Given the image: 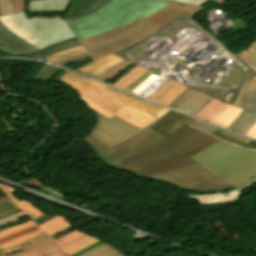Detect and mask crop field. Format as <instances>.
<instances>
[{
  "instance_id": "22f410ed",
  "label": "crop field",
  "mask_w": 256,
  "mask_h": 256,
  "mask_svg": "<svg viewBox=\"0 0 256 256\" xmlns=\"http://www.w3.org/2000/svg\"><path fill=\"white\" fill-rule=\"evenodd\" d=\"M256 122V77L245 110L230 123L227 129L245 135Z\"/></svg>"
},
{
  "instance_id": "cbeb9de0",
  "label": "crop field",
  "mask_w": 256,
  "mask_h": 256,
  "mask_svg": "<svg viewBox=\"0 0 256 256\" xmlns=\"http://www.w3.org/2000/svg\"><path fill=\"white\" fill-rule=\"evenodd\" d=\"M101 93H103L111 98H114L124 104H127L131 107H134L140 111L150 114L156 118H158L161 114H163L165 111H167V108H163L156 104H152V103L140 100L138 98H135L133 96H130L128 94H125L123 92L115 90L113 88H110L108 86H106L101 91Z\"/></svg>"
},
{
  "instance_id": "1f2cbd36",
  "label": "crop field",
  "mask_w": 256,
  "mask_h": 256,
  "mask_svg": "<svg viewBox=\"0 0 256 256\" xmlns=\"http://www.w3.org/2000/svg\"><path fill=\"white\" fill-rule=\"evenodd\" d=\"M87 55H88L87 52H85V53H82V54H79V55H76V56H73V57H69V58H66V59H63V60L54 62V63H57V64H59V65H62V64H64V63H66V62L72 61V60H74V59L82 58V57H85V56H87Z\"/></svg>"
},
{
  "instance_id": "d1516ede",
  "label": "crop field",
  "mask_w": 256,
  "mask_h": 256,
  "mask_svg": "<svg viewBox=\"0 0 256 256\" xmlns=\"http://www.w3.org/2000/svg\"><path fill=\"white\" fill-rule=\"evenodd\" d=\"M202 9L173 2L143 21L159 30L186 13L191 16Z\"/></svg>"
},
{
  "instance_id": "4a817a6b",
  "label": "crop field",
  "mask_w": 256,
  "mask_h": 256,
  "mask_svg": "<svg viewBox=\"0 0 256 256\" xmlns=\"http://www.w3.org/2000/svg\"><path fill=\"white\" fill-rule=\"evenodd\" d=\"M0 42L30 54H34L37 51H39L38 49L33 47L31 44H29L19 36L9 31L1 23H0Z\"/></svg>"
},
{
  "instance_id": "120bbe31",
  "label": "crop field",
  "mask_w": 256,
  "mask_h": 256,
  "mask_svg": "<svg viewBox=\"0 0 256 256\" xmlns=\"http://www.w3.org/2000/svg\"><path fill=\"white\" fill-rule=\"evenodd\" d=\"M146 69L136 66L118 81H116L113 86L124 89L127 85H129L135 78H137L141 73H143Z\"/></svg>"
},
{
  "instance_id": "447ae74e",
  "label": "crop field",
  "mask_w": 256,
  "mask_h": 256,
  "mask_svg": "<svg viewBox=\"0 0 256 256\" xmlns=\"http://www.w3.org/2000/svg\"><path fill=\"white\" fill-rule=\"evenodd\" d=\"M23 203H25L29 208H31L35 213H37L39 216L44 214L39 209H37L35 206H33L31 203H29L27 200L23 199L21 200Z\"/></svg>"
},
{
  "instance_id": "03da06ac",
  "label": "crop field",
  "mask_w": 256,
  "mask_h": 256,
  "mask_svg": "<svg viewBox=\"0 0 256 256\" xmlns=\"http://www.w3.org/2000/svg\"><path fill=\"white\" fill-rule=\"evenodd\" d=\"M190 125H192V126L198 128V129H200V130H202V131H205V132H207V133H209V134H211L212 132H214V131L217 129V127H214V126H212V125L206 124V123L201 122V121H198V120H196V119H194V120L190 123Z\"/></svg>"
},
{
  "instance_id": "73cf0c24",
  "label": "crop field",
  "mask_w": 256,
  "mask_h": 256,
  "mask_svg": "<svg viewBox=\"0 0 256 256\" xmlns=\"http://www.w3.org/2000/svg\"><path fill=\"white\" fill-rule=\"evenodd\" d=\"M24 216H26V214L21 212L19 214H16V215H13L11 217H8V218H5L3 220H0V227L5 225V224H7V223H9V222H12V221H15L17 219H20V218H22Z\"/></svg>"
},
{
  "instance_id": "e1f06a70",
  "label": "crop field",
  "mask_w": 256,
  "mask_h": 256,
  "mask_svg": "<svg viewBox=\"0 0 256 256\" xmlns=\"http://www.w3.org/2000/svg\"><path fill=\"white\" fill-rule=\"evenodd\" d=\"M82 52H85V50L82 48V46H77V47L71 48L69 50H66L64 52L51 55V56L45 58L44 60L54 62V61H57V60H60V59H63V58H66V57H69L72 55H76V54H79Z\"/></svg>"
},
{
  "instance_id": "214f88e0",
  "label": "crop field",
  "mask_w": 256,
  "mask_h": 256,
  "mask_svg": "<svg viewBox=\"0 0 256 256\" xmlns=\"http://www.w3.org/2000/svg\"><path fill=\"white\" fill-rule=\"evenodd\" d=\"M115 115L123 118L124 120L132 123L133 125L141 129L156 119L127 105H125Z\"/></svg>"
},
{
  "instance_id": "ae633e8c",
  "label": "crop field",
  "mask_w": 256,
  "mask_h": 256,
  "mask_svg": "<svg viewBox=\"0 0 256 256\" xmlns=\"http://www.w3.org/2000/svg\"><path fill=\"white\" fill-rule=\"evenodd\" d=\"M0 256H4V253L1 251V249H0Z\"/></svg>"
},
{
  "instance_id": "5d738f31",
  "label": "crop field",
  "mask_w": 256,
  "mask_h": 256,
  "mask_svg": "<svg viewBox=\"0 0 256 256\" xmlns=\"http://www.w3.org/2000/svg\"><path fill=\"white\" fill-rule=\"evenodd\" d=\"M78 99L81 100L87 107H90L91 109H93V110H95V111H97V112H99V113L109 117L110 119L112 118L113 114H111V113H109V112H107V111L97 107L96 105L88 102L87 100L81 98L80 96H79Z\"/></svg>"
},
{
  "instance_id": "c21b1889",
  "label": "crop field",
  "mask_w": 256,
  "mask_h": 256,
  "mask_svg": "<svg viewBox=\"0 0 256 256\" xmlns=\"http://www.w3.org/2000/svg\"><path fill=\"white\" fill-rule=\"evenodd\" d=\"M14 13L12 0H0V15Z\"/></svg>"
},
{
  "instance_id": "b80d0937",
  "label": "crop field",
  "mask_w": 256,
  "mask_h": 256,
  "mask_svg": "<svg viewBox=\"0 0 256 256\" xmlns=\"http://www.w3.org/2000/svg\"><path fill=\"white\" fill-rule=\"evenodd\" d=\"M195 91L185 88L175 99H173L168 107L177 109L188 97H190Z\"/></svg>"
},
{
  "instance_id": "bd1437ed",
  "label": "crop field",
  "mask_w": 256,
  "mask_h": 256,
  "mask_svg": "<svg viewBox=\"0 0 256 256\" xmlns=\"http://www.w3.org/2000/svg\"><path fill=\"white\" fill-rule=\"evenodd\" d=\"M70 224V223H69ZM65 219L60 215L42 225L40 227L45 230L49 235L58 232L62 229H65L71 225H69Z\"/></svg>"
},
{
  "instance_id": "5a996713",
  "label": "crop field",
  "mask_w": 256,
  "mask_h": 256,
  "mask_svg": "<svg viewBox=\"0 0 256 256\" xmlns=\"http://www.w3.org/2000/svg\"><path fill=\"white\" fill-rule=\"evenodd\" d=\"M94 113L97 116V123L89 134L107 146L113 145L141 130L115 115L110 120L95 111Z\"/></svg>"
},
{
  "instance_id": "d3111659",
  "label": "crop field",
  "mask_w": 256,
  "mask_h": 256,
  "mask_svg": "<svg viewBox=\"0 0 256 256\" xmlns=\"http://www.w3.org/2000/svg\"><path fill=\"white\" fill-rule=\"evenodd\" d=\"M1 23L6 26L8 29H10L12 32L16 33L17 35L21 36L25 40H27L29 43H34L38 39L33 37L31 34H29L26 30H24L18 23H16L10 16L6 17H0ZM15 34V35H16ZM20 37V38H21ZM23 39V40H24Z\"/></svg>"
},
{
  "instance_id": "3316defc",
  "label": "crop field",
  "mask_w": 256,
  "mask_h": 256,
  "mask_svg": "<svg viewBox=\"0 0 256 256\" xmlns=\"http://www.w3.org/2000/svg\"><path fill=\"white\" fill-rule=\"evenodd\" d=\"M6 256H67L46 234L3 248Z\"/></svg>"
},
{
  "instance_id": "ae1a2a85",
  "label": "crop field",
  "mask_w": 256,
  "mask_h": 256,
  "mask_svg": "<svg viewBox=\"0 0 256 256\" xmlns=\"http://www.w3.org/2000/svg\"><path fill=\"white\" fill-rule=\"evenodd\" d=\"M255 75L250 70L232 105L244 109Z\"/></svg>"
},
{
  "instance_id": "d9b57169",
  "label": "crop field",
  "mask_w": 256,
  "mask_h": 256,
  "mask_svg": "<svg viewBox=\"0 0 256 256\" xmlns=\"http://www.w3.org/2000/svg\"><path fill=\"white\" fill-rule=\"evenodd\" d=\"M192 120V118L183 116L169 110L161 118H159L148 127L152 128L153 130L166 137L183 123L186 122L189 124Z\"/></svg>"
},
{
  "instance_id": "0bd39190",
  "label": "crop field",
  "mask_w": 256,
  "mask_h": 256,
  "mask_svg": "<svg viewBox=\"0 0 256 256\" xmlns=\"http://www.w3.org/2000/svg\"><path fill=\"white\" fill-rule=\"evenodd\" d=\"M129 64H131V62L125 60L121 63H119L118 65L110 68L109 70H107L106 72L102 73L101 75H99L98 77H96L95 79L100 80L102 82L106 81L107 79H109L110 77H112L114 74L118 73L120 70H122L123 68L127 67ZM126 65V66H124Z\"/></svg>"
},
{
  "instance_id": "1d83c4d3",
  "label": "crop field",
  "mask_w": 256,
  "mask_h": 256,
  "mask_svg": "<svg viewBox=\"0 0 256 256\" xmlns=\"http://www.w3.org/2000/svg\"><path fill=\"white\" fill-rule=\"evenodd\" d=\"M256 72V40L245 50L237 53Z\"/></svg>"
},
{
  "instance_id": "d8731c3e",
  "label": "crop field",
  "mask_w": 256,
  "mask_h": 256,
  "mask_svg": "<svg viewBox=\"0 0 256 256\" xmlns=\"http://www.w3.org/2000/svg\"><path fill=\"white\" fill-rule=\"evenodd\" d=\"M59 81H63L71 85L72 88L78 90V92L81 94V97L114 114L124 106V104L99 93L105 87V85L100 83L94 82L68 71H66L63 77L57 82Z\"/></svg>"
},
{
  "instance_id": "34b2d1b8",
  "label": "crop field",
  "mask_w": 256,
  "mask_h": 256,
  "mask_svg": "<svg viewBox=\"0 0 256 256\" xmlns=\"http://www.w3.org/2000/svg\"><path fill=\"white\" fill-rule=\"evenodd\" d=\"M156 31L158 30L138 19L124 27L120 25L98 35L79 40V43L88 52L90 57L97 61L119 49L146 38ZM94 61H90L80 67Z\"/></svg>"
},
{
  "instance_id": "4177f3b9",
  "label": "crop field",
  "mask_w": 256,
  "mask_h": 256,
  "mask_svg": "<svg viewBox=\"0 0 256 256\" xmlns=\"http://www.w3.org/2000/svg\"><path fill=\"white\" fill-rule=\"evenodd\" d=\"M85 142L89 147L96 153L97 157L105 164L107 167L120 164V162L112 155V153L102 144L97 142L90 136H87Z\"/></svg>"
},
{
  "instance_id": "e1d0b9f6",
  "label": "crop field",
  "mask_w": 256,
  "mask_h": 256,
  "mask_svg": "<svg viewBox=\"0 0 256 256\" xmlns=\"http://www.w3.org/2000/svg\"><path fill=\"white\" fill-rule=\"evenodd\" d=\"M227 0H216L217 3L219 4H224Z\"/></svg>"
},
{
  "instance_id": "412701ff",
  "label": "crop field",
  "mask_w": 256,
  "mask_h": 256,
  "mask_svg": "<svg viewBox=\"0 0 256 256\" xmlns=\"http://www.w3.org/2000/svg\"><path fill=\"white\" fill-rule=\"evenodd\" d=\"M188 124H183L181 127L172 132L169 136L164 138L150 149L129 157L123 161L122 164L112 166L133 173H137L181 150L184 147L197 140L205 133L193 129Z\"/></svg>"
},
{
  "instance_id": "730fd06b",
  "label": "crop field",
  "mask_w": 256,
  "mask_h": 256,
  "mask_svg": "<svg viewBox=\"0 0 256 256\" xmlns=\"http://www.w3.org/2000/svg\"><path fill=\"white\" fill-rule=\"evenodd\" d=\"M99 239L82 234L66 243H63L59 245L65 252H67L69 255L98 241Z\"/></svg>"
},
{
  "instance_id": "f4fd0767",
  "label": "crop field",
  "mask_w": 256,
  "mask_h": 256,
  "mask_svg": "<svg viewBox=\"0 0 256 256\" xmlns=\"http://www.w3.org/2000/svg\"><path fill=\"white\" fill-rule=\"evenodd\" d=\"M149 179L187 191H208L232 186L198 163Z\"/></svg>"
},
{
  "instance_id": "7b73153f",
  "label": "crop field",
  "mask_w": 256,
  "mask_h": 256,
  "mask_svg": "<svg viewBox=\"0 0 256 256\" xmlns=\"http://www.w3.org/2000/svg\"><path fill=\"white\" fill-rule=\"evenodd\" d=\"M19 212H21L20 208H19V210L16 209V210H13V211H11V212H8V213H6V214L1 215V216H0V219H3V218H5V217L11 216V215L16 214V213H19Z\"/></svg>"
},
{
  "instance_id": "dafd665d",
  "label": "crop field",
  "mask_w": 256,
  "mask_h": 256,
  "mask_svg": "<svg viewBox=\"0 0 256 256\" xmlns=\"http://www.w3.org/2000/svg\"><path fill=\"white\" fill-rule=\"evenodd\" d=\"M184 88L185 86L183 85H180L176 82L169 81L149 98L154 99L167 106L169 102L174 97H176Z\"/></svg>"
},
{
  "instance_id": "bc2a9ffb",
  "label": "crop field",
  "mask_w": 256,
  "mask_h": 256,
  "mask_svg": "<svg viewBox=\"0 0 256 256\" xmlns=\"http://www.w3.org/2000/svg\"><path fill=\"white\" fill-rule=\"evenodd\" d=\"M123 60L124 59L112 54L104 59H101L97 62L87 65V66L80 68L76 71L94 78L97 75L104 72L105 70L109 69L110 67L116 65L117 63H119Z\"/></svg>"
},
{
  "instance_id": "dd49c442",
  "label": "crop field",
  "mask_w": 256,
  "mask_h": 256,
  "mask_svg": "<svg viewBox=\"0 0 256 256\" xmlns=\"http://www.w3.org/2000/svg\"><path fill=\"white\" fill-rule=\"evenodd\" d=\"M29 33L40 39L32 44L39 50L58 41L74 37L68 25L59 17H33L27 19L24 13L11 15Z\"/></svg>"
},
{
  "instance_id": "d23c7cc5",
  "label": "crop field",
  "mask_w": 256,
  "mask_h": 256,
  "mask_svg": "<svg viewBox=\"0 0 256 256\" xmlns=\"http://www.w3.org/2000/svg\"><path fill=\"white\" fill-rule=\"evenodd\" d=\"M216 132L221 133V134H223V135H226V136H228V137L234 138V139L239 140V141H241V142H244V143H246V144H249L250 141H251V140H249V139H247V138L238 136V135H236V134L230 133V132L225 131V130H222V129H220V128H218V129L216 130Z\"/></svg>"
},
{
  "instance_id": "425ffa30",
  "label": "crop field",
  "mask_w": 256,
  "mask_h": 256,
  "mask_svg": "<svg viewBox=\"0 0 256 256\" xmlns=\"http://www.w3.org/2000/svg\"><path fill=\"white\" fill-rule=\"evenodd\" d=\"M236 109L237 107L231 106L215 124L222 126L226 120L235 112Z\"/></svg>"
},
{
  "instance_id": "028f5c9d",
  "label": "crop field",
  "mask_w": 256,
  "mask_h": 256,
  "mask_svg": "<svg viewBox=\"0 0 256 256\" xmlns=\"http://www.w3.org/2000/svg\"><path fill=\"white\" fill-rule=\"evenodd\" d=\"M95 1L97 0H74L65 18L80 13Z\"/></svg>"
},
{
  "instance_id": "78b8030e",
  "label": "crop field",
  "mask_w": 256,
  "mask_h": 256,
  "mask_svg": "<svg viewBox=\"0 0 256 256\" xmlns=\"http://www.w3.org/2000/svg\"><path fill=\"white\" fill-rule=\"evenodd\" d=\"M0 49L4 50V51H6V52H9V53H11V54H14V55L20 54V53H18V52H16V51L10 50V49L5 48V47H2V46H0Z\"/></svg>"
},
{
  "instance_id": "00972430",
  "label": "crop field",
  "mask_w": 256,
  "mask_h": 256,
  "mask_svg": "<svg viewBox=\"0 0 256 256\" xmlns=\"http://www.w3.org/2000/svg\"><path fill=\"white\" fill-rule=\"evenodd\" d=\"M69 0H31L28 11H63Z\"/></svg>"
},
{
  "instance_id": "d14b1444",
  "label": "crop field",
  "mask_w": 256,
  "mask_h": 256,
  "mask_svg": "<svg viewBox=\"0 0 256 256\" xmlns=\"http://www.w3.org/2000/svg\"><path fill=\"white\" fill-rule=\"evenodd\" d=\"M256 251V250H255Z\"/></svg>"
},
{
  "instance_id": "28ad6ade",
  "label": "crop field",
  "mask_w": 256,
  "mask_h": 256,
  "mask_svg": "<svg viewBox=\"0 0 256 256\" xmlns=\"http://www.w3.org/2000/svg\"><path fill=\"white\" fill-rule=\"evenodd\" d=\"M163 138L164 137L146 127L129 139L109 147L108 149L120 161L153 146Z\"/></svg>"
},
{
  "instance_id": "9d1cf04e",
  "label": "crop field",
  "mask_w": 256,
  "mask_h": 256,
  "mask_svg": "<svg viewBox=\"0 0 256 256\" xmlns=\"http://www.w3.org/2000/svg\"><path fill=\"white\" fill-rule=\"evenodd\" d=\"M211 135H213V136H215V137H218V138H220V139H225V140H227V141H229V142H235V143H238V144L246 145V144H244V143H241V142L236 141V140H234V139L228 138V137L223 136V135H221V134H218V133H216V132H214V133L211 134ZM246 146H248V145H246Z\"/></svg>"
},
{
  "instance_id": "0765c3eb",
  "label": "crop field",
  "mask_w": 256,
  "mask_h": 256,
  "mask_svg": "<svg viewBox=\"0 0 256 256\" xmlns=\"http://www.w3.org/2000/svg\"><path fill=\"white\" fill-rule=\"evenodd\" d=\"M246 136L256 139V123L254 126L248 131Z\"/></svg>"
},
{
  "instance_id": "b54c1fbb",
  "label": "crop field",
  "mask_w": 256,
  "mask_h": 256,
  "mask_svg": "<svg viewBox=\"0 0 256 256\" xmlns=\"http://www.w3.org/2000/svg\"><path fill=\"white\" fill-rule=\"evenodd\" d=\"M18 208V206L11 200H7L0 203V215L3 213H6L8 211H11L13 209Z\"/></svg>"
},
{
  "instance_id": "750c4746",
  "label": "crop field",
  "mask_w": 256,
  "mask_h": 256,
  "mask_svg": "<svg viewBox=\"0 0 256 256\" xmlns=\"http://www.w3.org/2000/svg\"><path fill=\"white\" fill-rule=\"evenodd\" d=\"M80 256H126L123 252L110 246L109 244H102Z\"/></svg>"
},
{
  "instance_id": "eef30255",
  "label": "crop field",
  "mask_w": 256,
  "mask_h": 256,
  "mask_svg": "<svg viewBox=\"0 0 256 256\" xmlns=\"http://www.w3.org/2000/svg\"><path fill=\"white\" fill-rule=\"evenodd\" d=\"M77 45H80V44L78 43V41L74 37V38H71V39H67V40L55 43V44L37 52L34 55L39 57V58H45V57H47L51 54L64 51L66 49H69V48L77 46Z\"/></svg>"
},
{
  "instance_id": "d32e631a",
  "label": "crop field",
  "mask_w": 256,
  "mask_h": 256,
  "mask_svg": "<svg viewBox=\"0 0 256 256\" xmlns=\"http://www.w3.org/2000/svg\"><path fill=\"white\" fill-rule=\"evenodd\" d=\"M0 188L25 212L31 219L38 217L31 209H29L25 204L20 200L18 201L11 193H15V190L12 187L0 184Z\"/></svg>"
},
{
  "instance_id": "89e229c0",
  "label": "crop field",
  "mask_w": 256,
  "mask_h": 256,
  "mask_svg": "<svg viewBox=\"0 0 256 256\" xmlns=\"http://www.w3.org/2000/svg\"><path fill=\"white\" fill-rule=\"evenodd\" d=\"M15 13L25 11V0H13Z\"/></svg>"
},
{
  "instance_id": "1d79db26",
  "label": "crop field",
  "mask_w": 256,
  "mask_h": 256,
  "mask_svg": "<svg viewBox=\"0 0 256 256\" xmlns=\"http://www.w3.org/2000/svg\"><path fill=\"white\" fill-rule=\"evenodd\" d=\"M56 216H58V215L49 216V215L45 214V215H43V216H41V217H39V218H37L33 221L36 222L38 225H40V224H42V223H44V222H46V221H48V220H50V219H52Z\"/></svg>"
},
{
  "instance_id": "ac0d7876",
  "label": "crop field",
  "mask_w": 256,
  "mask_h": 256,
  "mask_svg": "<svg viewBox=\"0 0 256 256\" xmlns=\"http://www.w3.org/2000/svg\"><path fill=\"white\" fill-rule=\"evenodd\" d=\"M191 158L234 186L256 180V151L220 141Z\"/></svg>"
},
{
  "instance_id": "a9b5d70f",
  "label": "crop field",
  "mask_w": 256,
  "mask_h": 256,
  "mask_svg": "<svg viewBox=\"0 0 256 256\" xmlns=\"http://www.w3.org/2000/svg\"><path fill=\"white\" fill-rule=\"evenodd\" d=\"M210 99L211 97L196 91L178 110L194 116Z\"/></svg>"
},
{
  "instance_id": "733c2abd",
  "label": "crop field",
  "mask_w": 256,
  "mask_h": 256,
  "mask_svg": "<svg viewBox=\"0 0 256 256\" xmlns=\"http://www.w3.org/2000/svg\"><path fill=\"white\" fill-rule=\"evenodd\" d=\"M230 106L212 98L195 117L215 123Z\"/></svg>"
},
{
  "instance_id": "8a807250",
  "label": "crop field",
  "mask_w": 256,
  "mask_h": 256,
  "mask_svg": "<svg viewBox=\"0 0 256 256\" xmlns=\"http://www.w3.org/2000/svg\"><path fill=\"white\" fill-rule=\"evenodd\" d=\"M171 3L168 0H114L95 13L68 23L77 39H82L140 18L145 19Z\"/></svg>"
},
{
  "instance_id": "dbb93151",
  "label": "crop field",
  "mask_w": 256,
  "mask_h": 256,
  "mask_svg": "<svg viewBox=\"0 0 256 256\" xmlns=\"http://www.w3.org/2000/svg\"><path fill=\"white\" fill-rule=\"evenodd\" d=\"M175 1H180V2H183V3H186V4L202 6L208 0H175ZM213 1H215V0H213Z\"/></svg>"
},
{
  "instance_id": "5142ce71",
  "label": "crop field",
  "mask_w": 256,
  "mask_h": 256,
  "mask_svg": "<svg viewBox=\"0 0 256 256\" xmlns=\"http://www.w3.org/2000/svg\"><path fill=\"white\" fill-rule=\"evenodd\" d=\"M44 233L32 221L20 224L8 230L0 232V247H6L14 243L29 239ZM11 242V244H9Z\"/></svg>"
},
{
  "instance_id": "c035e120",
  "label": "crop field",
  "mask_w": 256,
  "mask_h": 256,
  "mask_svg": "<svg viewBox=\"0 0 256 256\" xmlns=\"http://www.w3.org/2000/svg\"><path fill=\"white\" fill-rule=\"evenodd\" d=\"M150 71H145L143 74H141L137 79H135L129 86L125 88V90L131 92L134 90L138 85H140L144 80H146L150 75H152Z\"/></svg>"
},
{
  "instance_id": "25e5ab78",
  "label": "crop field",
  "mask_w": 256,
  "mask_h": 256,
  "mask_svg": "<svg viewBox=\"0 0 256 256\" xmlns=\"http://www.w3.org/2000/svg\"><path fill=\"white\" fill-rule=\"evenodd\" d=\"M80 234H82V232H80L78 230H75V231H73V232H71V233H69V234H67V235H65V236H63V237H61L57 240H54V241L59 245V244H61L63 242H66V241H68V240H70V239H72V238H74V237H76Z\"/></svg>"
},
{
  "instance_id": "e52e79f7",
  "label": "crop field",
  "mask_w": 256,
  "mask_h": 256,
  "mask_svg": "<svg viewBox=\"0 0 256 256\" xmlns=\"http://www.w3.org/2000/svg\"><path fill=\"white\" fill-rule=\"evenodd\" d=\"M218 141L220 140L206 134L200 139H198L197 141L193 142L192 144L184 148L185 149L184 151L168 159H165L135 175L141 176L143 178H149L155 175H159L165 172H169L172 170H176V169L194 164L196 162L193 159H191L189 156L205 149L206 147Z\"/></svg>"
},
{
  "instance_id": "0fb4a251",
  "label": "crop field",
  "mask_w": 256,
  "mask_h": 256,
  "mask_svg": "<svg viewBox=\"0 0 256 256\" xmlns=\"http://www.w3.org/2000/svg\"><path fill=\"white\" fill-rule=\"evenodd\" d=\"M102 243L103 242L100 240V241H98V242H96V243H94V244H92V245H90V246H88V247H86V248H84V249H82V250H80V251L70 255V256H78V255H80V254H82V253H84V252H86V251H88V250H90V249H92V248L102 244Z\"/></svg>"
},
{
  "instance_id": "5866460e",
  "label": "crop field",
  "mask_w": 256,
  "mask_h": 256,
  "mask_svg": "<svg viewBox=\"0 0 256 256\" xmlns=\"http://www.w3.org/2000/svg\"><path fill=\"white\" fill-rule=\"evenodd\" d=\"M112 0H98L97 2H95L93 5H91L89 8H87L86 10H84L82 13L71 17V18H67L65 19L66 23L74 21L76 19L85 17L93 12H95L96 10L106 6L108 3H110Z\"/></svg>"
},
{
  "instance_id": "0f1d7ab4",
  "label": "crop field",
  "mask_w": 256,
  "mask_h": 256,
  "mask_svg": "<svg viewBox=\"0 0 256 256\" xmlns=\"http://www.w3.org/2000/svg\"><path fill=\"white\" fill-rule=\"evenodd\" d=\"M249 148L256 150V142L252 140V142H251Z\"/></svg>"
},
{
  "instance_id": "db79e9e6",
  "label": "crop field",
  "mask_w": 256,
  "mask_h": 256,
  "mask_svg": "<svg viewBox=\"0 0 256 256\" xmlns=\"http://www.w3.org/2000/svg\"><path fill=\"white\" fill-rule=\"evenodd\" d=\"M242 109L238 108L236 112L228 119V121L223 125V127H227L229 123L237 116V114L241 111Z\"/></svg>"
},
{
  "instance_id": "92a150f3",
  "label": "crop field",
  "mask_w": 256,
  "mask_h": 256,
  "mask_svg": "<svg viewBox=\"0 0 256 256\" xmlns=\"http://www.w3.org/2000/svg\"><path fill=\"white\" fill-rule=\"evenodd\" d=\"M243 194V188L220 194L188 195L190 200L197 199L200 204L225 203L235 201Z\"/></svg>"
}]
</instances>
